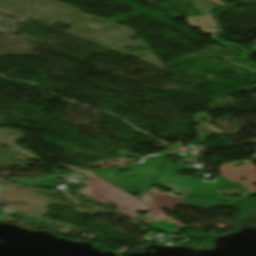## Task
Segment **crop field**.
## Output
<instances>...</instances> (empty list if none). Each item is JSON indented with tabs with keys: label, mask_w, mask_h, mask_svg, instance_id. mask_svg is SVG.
<instances>
[{
	"label": "crop field",
	"mask_w": 256,
	"mask_h": 256,
	"mask_svg": "<svg viewBox=\"0 0 256 256\" xmlns=\"http://www.w3.org/2000/svg\"><path fill=\"white\" fill-rule=\"evenodd\" d=\"M84 174L90 177L83 182L89 184V186L81 190V192L103 203H109L115 206L122 214L134 219L138 217L135 213L147 212L154 215L158 212L111 186L93 174L89 172Z\"/></svg>",
	"instance_id": "obj_1"
},
{
	"label": "crop field",
	"mask_w": 256,
	"mask_h": 256,
	"mask_svg": "<svg viewBox=\"0 0 256 256\" xmlns=\"http://www.w3.org/2000/svg\"><path fill=\"white\" fill-rule=\"evenodd\" d=\"M53 180H55L54 177H48V178H42V179H36V180H26V179L15 178V179H12L11 181L21 185L55 188L57 185L49 184V182Z\"/></svg>",
	"instance_id": "obj_2"
},
{
	"label": "crop field",
	"mask_w": 256,
	"mask_h": 256,
	"mask_svg": "<svg viewBox=\"0 0 256 256\" xmlns=\"http://www.w3.org/2000/svg\"><path fill=\"white\" fill-rule=\"evenodd\" d=\"M210 183H214V182H210ZM181 205L192 206V207L201 208V209H209L210 207H213V206H218V205L223 206L225 204L212 203V202H206L202 200L187 198L185 201L182 202Z\"/></svg>",
	"instance_id": "obj_3"
},
{
	"label": "crop field",
	"mask_w": 256,
	"mask_h": 256,
	"mask_svg": "<svg viewBox=\"0 0 256 256\" xmlns=\"http://www.w3.org/2000/svg\"><path fill=\"white\" fill-rule=\"evenodd\" d=\"M153 226L155 229L159 230V231H162L164 233H168V234H173L174 231H172V229L168 228V227H165L157 222H153Z\"/></svg>",
	"instance_id": "obj_4"
},
{
	"label": "crop field",
	"mask_w": 256,
	"mask_h": 256,
	"mask_svg": "<svg viewBox=\"0 0 256 256\" xmlns=\"http://www.w3.org/2000/svg\"><path fill=\"white\" fill-rule=\"evenodd\" d=\"M157 220L160 221V222H162V223H164V224H167V225H169V226H171V227H173V228H175V229H177V228L180 227L179 225H176V224L172 225L171 222H168V221H162V220H160V219H157Z\"/></svg>",
	"instance_id": "obj_5"
},
{
	"label": "crop field",
	"mask_w": 256,
	"mask_h": 256,
	"mask_svg": "<svg viewBox=\"0 0 256 256\" xmlns=\"http://www.w3.org/2000/svg\"><path fill=\"white\" fill-rule=\"evenodd\" d=\"M59 166H62V167H66V168H69L77 173H79L80 171H82V169H79V168H76V167H70V166H66V165H59Z\"/></svg>",
	"instance_id": "obj_6"
},
{
	"label": "crop field",
	"mask_w": 256,
	"mask_h": 256,
	"mask_svg": "<svg viewBox=\"0 0 256 256\" xmlns=\"http://www.w3.org/2000/svg\"><path fill=\"white\" fill-rule=\"evenodd\" d=\"M201 128H202V129H211V130L219 131V130L213 128L212 126H210V125H208V124L201 126ZM219 132H221V131H219Z\"/></svg>",
	"instance_id": "obj_7"
}]
</instances>
